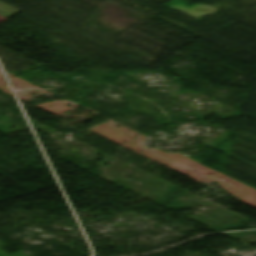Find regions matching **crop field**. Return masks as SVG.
Here are the masks:
<instances>
[{"label": "crop field", "instance_id": "8a807250", "mask_svg": "<svg viewBox=\"0 0 256 256\" xmlns=\"http://www.w3.org/2000/svg\"><path fill=\"white\" fill-rule=\"evenodd\" d=\"M21 10L0 1V15L7 18Z\"/></svg>", "mask_w": 256, "mask_h": 256}, {"label": "crop field", "instance_id": "ac0d7876", "mask_svg": "<svg viewBox=\"0 0 256 256\" xmlns=\"http://www.w3.org/2000/svg\"><path fill=\"white\" fill-rule=\"evenodd\" d=\"M3 20H5V18H3V17L0 16V22L3 21Z\"/></svg>", "mask_w": 256, "mask_h": 256}]
</instances>
